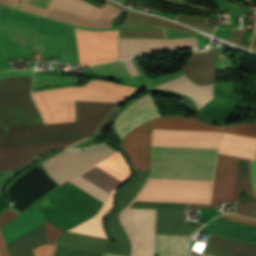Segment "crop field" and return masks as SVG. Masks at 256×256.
<instances>
[{
	"mask_svg": "<svg viewBox=\"0 0 256 256\" xmlns=\"http://www.w3.org/2000/svg\"><path fill=\"white\" fill-rule=\"evenodd\" d=\"M153 127L220 134L222 127L186 117H160ZM153 128L152 144L217 150L220 135ZM152 145L149 178L212 180L217 151ZM147 179L126 208L157 209L156 234L190 236L188 203H209L212 181Z\"/></svg>",
	"mask_w": 256,
	"mask_h": 256,
	"instance_id": "obj_1",
	"label": "crop field"
},
{
	"mask_svg": "<svg viewBox=\"0 0 256 256\" xmlns=\"http://www.w3.org/2000/svg\"><path fill=\"white\" fill-rule=\"evenodd\" d=\"M33 70L6 71L1 77L32 76ZM32 77L0 79V122L5 127L75 121L74 100L121 103L136 88L105 81L83 87L30 92ZM69 83V78L35 76L33 85Z\"/></svg>",
	"mask_w": 256,
	"mask_h": 256,
	"instance_id": "obj_2",
	"label": "crop field"
},
{
	"mask_svg": "<svg viewBox=\"0 0 256 256\" xmlns=\"http://www.w3.org/2000/svg\"><path fill=\"white\" fill-rule=\"evenodd\" d=\"M118 103L75 101L77 122L6 128L0 135V171L24 166L46 151L64 148L94 135ZM29 163V162H28Z\"/></svg>",
	"mask_w": 256,
	"mask_h": 256,
	"instance_id": "obj_3",
	"label": "crop field"
},
{
	"mask_svg": "<svg viewBox=\"0 0 256 256\" xmlns=\"http://www.w3.org/2000/svg\"><path fill=\"white\" fill-rule=\"evenodd\" d=\"M0 21L40 32L43 56L57 62L86 66L117 59V31L88 32L34 18L0 7Z\"/></svg>",
	"mask_w": 256,
	"mask_h": 256,
	"instance_id": "obj_4",
	"label": "crop field"
},
{
	"mask_svg": "<svg viewBox=\"0 0 256 256\" xmlns=\"http://www.w3.org/2000/svg\"><path fill=\"white\" fill-rule=\"evenodd\" d=\"M68 182L50 193L39 205L44 217L69 229L91 218L103 202ZM44 221L48 243L54 245L56 237L67 229L45 218Z\"/></svg>",
	"mask_w": 256,
	"mask_h": 256,
	"instance_id": "obj_5",
	"label": "crop field"
},
{
	"mask_svg": "<svg viewBox=\"0 0 256 256\" xmlns=\"http://www.w3.org/2000/svg\"><path fill=\"white\" fill-rule=\"evenodd\" d=\"M247 162L246 159L243 158L218 154L211 207H218V203L238 201L240 187L251 197L253 195V198H255L256 158L255 161L249 160L255 196L248 162L250 182L252 188L251 195ZM237 212L239 214L256 218V201L251 200L238 203Z\"/></svg>",
	"mask_w": 256,
	"mask_h": 256,
	"instance_id": "obj_6",
	"label": "crop field"
},
{
	"mask_svg": "<svg viewBox=\"0 0 256 256\" xmlns=\"http://www.w3.org/2000/svg\"><path fill=\"white\" fill-rule=\"evenodd\" d=\"M21 10L86 27L95 7L81 0H22ZM120 13L109 5L96 9L88 27H110Z\"/></svg>",
	"mask_w": 256,
	"mask_h": 256,
	"instance_id": "obj_7",
	"label": "crop field"
},
{
	"mask_svg": "<svg viewBox=\"0 0 256 256\" xmlns=\"http://www.w3.org/2000/svg\"><path fill=\"white\" fill-rule=\"evenodd\" d=\"M11 173L0 179L2 184L13 177ZM60 186L39 163L14 178L6 187V194L13 203L11 208L24 213L43 200L50 192ZM10 208L0 194V214Z\"/></svg>",
	"mask_w": 256,
	"mask_h": 256,
	"instance_id": "obj_8",
	"label": "crop field"
},
{
	"mask_svg": "<svg viewBox=\"0 0 256 256\" xmlns=\"http://www.w3.org/2000/svg\"><path fill=\"white\" fill-rule=\"evenodd\" d=\"M113 153L115 152L104 144L91 146L80 152L78 149H66L43 165L61 185Z\"/></svg>",
	"mask_w": 256,
	"mask_h": 256,
	"instance_id": "obj_9",
	"label": "crop field"
},
{
	"mask_svg": "<svg viewBox=\"0 0 256 256\" xmlns=\"http://www.w3.org/2000/svg\"><path fill=\"white\" fill-rule=\"evenodd\" d=\"M131 246V256H153L156 210L124 209L119 215Z\"/></svg>",
	"mask_w": 256,
	"mask_h": 256,
	"instance_id": "obj_10",
	"label": "crop field"
},
{
	"mask_svg": "<svg viewBox=\"0 0 256 256\" xmlns=\"http://www.w3.org/2000/svg\"><path fill=\"white\" fill-rule=\"evenodd\" d=\"M136 176L133 181H131L127 186H125L120 195L118 200V206L116 212L111 215L108 220V228L109 232L114 241H111L106 249L105 252L126 255L129 256L130 252V243L118 222L117 215L120 210L127 206L139 188L142 186L145 178L149 174L150 170H142V171H135ZM104 253L103 256H120L114 254Z\"/></svg>",
	"mask_w": 256,
	"mask_h": 256,
	"instance_id": "obj_11",
	"label": "crop field"
},
{
	"mask_svg": "<svg viewBox=\"0 0 256 256\" xmlns=\"http://www.w3.org/2000/svg\"><path fill=\"white\" fill-rule=\"evenodd\" d=\"M37 45V34L0 25V71L11 68L6 60L33 58L32 46Z\"/></svg>",
	"mask_w": 256,
	"mask_h": 256,
	"instance_id": "obj_12",
	"label": "crop field"
},
{
	"mask_svg": "<svg viewBox=\"0 0 256 256\" xmlns=\"http://www.w3.org/2000/svg\"><path fill=\"white\" fill-rule=\"evenodd\" d=\"M80 175L110 194L129 177L130 171L117 152Z\"/></svg>",
	"mask_w": 256,
	"mask_h": 256,
	"instance_id": "obj_13",
	"label": "crop field"
},
{
	"mask_svg": "<svg viewBox=\"0 0 256 256\" xmlns=\"http://www.w3.org/2000/svg\"><path fill=\"white\" fill-rule=\"evenodd\" d=\"M223 131L256 136V124L225 126ZM218 153L254 160L256 138L223 132Z\"/></svg>",
	"mask_w": 256,
	"mask_h": 256,
	"instance_id": "obj_14",
	"label": "crop field"
},
{
	"mask_svg": "<svg viewBox=\"0 0 256 256\" xmlns=\"http://www.w3.org/2000/svg\"><path fill=\"white\" fill-rule=\"evenodd\" d=\"M152 121L137 127L119 144L134 170L150 169Z\"/></svg>",
	"mask_w": 256,
	"mask_h": 256,
	"instance_id": "obj_15",
	"label": "crop field"
},
{
	"mask_svg": "<svg viewBox=\"0 0 256 256\" xmlns=\"http://www.w3.org/2000/svg\"><path fill=\"white\" fill-rule=\"evenodd\" d=\"M160 116L151 96L147 95L134 101L117 117L115 131L122 140L138 125Z\"/></svg>",
	"mask_w": 256,
	"mask_h": 256,
	"instance_id": "obj_16",
	"label": "crop field"
},
{
	"mask_svg": "<svg viewBox=\"0 0 256 256\" xmlns=\"http://www.w3.org/2000/svg\"><path fill=\"white\" fill-rule=\"evenodd\" d=\"M192 47H197V38L190 37L171 40L119 39V59L156 51Z\"/></svg>",
	"mask_w": 256,
	"mask_h": 256,
	"instance_id": "obj_17",
	"label": "crop field"
},
{
	"mask_svg": "<svg viewBox=\"0 0 256 256\" xmlns=\"http://www.w3.org/2000/svg\"><path fill=\"white\" fill-rule=\"evenodd\" d=\"M219 218L256 226V220L235 216L222 215ZM215 218L199 231L221 235L229 238L256 243V227Z\"/></svg>",
	"mask_w": 256,
	"mask_h": 256,
	"instance_id": "obj_18",
	"label": "crop field"
},
{
	"mask_svg": "<svg viewBox=\"0 0 256 256\" xmlns=\"http://www.w3.org/2000/svg\"><path fill=\"white\" fill-rule=\"evenodd\" d=\"M215 67L214 47L207 51H193L192 56L183 67V72L198 85L213 83V69Z\"/></svg>",
	"mask_w": 256,
	"mask_h": 256,
	"instance_id": "obj_19",
	"label": "crop field"
},
{
	"mask_svg": "<svg viewBox=\"0 0 256 256\" xmlns=\"http://www.w3.org/2000/svg\"><path fill=\"white\" fill-rule=\"evenodd\" d=\"M243 97L214 89V99L208 102L200 112L214 122H224L237 108Z\"/></svg>",
	"mask_w": 256,
	"mask_h": 256,
	"instance_id": "obj_20",
	"label": "crop field"
},
{
	"mask_svg": "<svg viewBox=\"0 0 256 256\" xmlns=\"http://www.w3.org/2000/svg\"><path fill=\"white\" fill-rule=\"evenodd\" d=\"M204 254L212 256H256V245L209 236Z\"/></svg>",
	"mask_w": 256,
	"mask_h": 256,
	"instance_id": "obj_21",
	"label": "crop field"
},
{
	"mask_svg": "<svg viewBox=\"0 0 256 256\" xmlns=\"http://www.w3.org/2000/svg\"><path fill=\"white\" fill-rule=\"evenodd\" d=\"M42 223L39 206H36L1 228L6 244L9 245Z\"/></svg>",
	"mask_w": 256,
	"mask_h": 256,
	"instance_id": "obj_22",
	"label": "crop field"
},
{
	"mask_svg": "<svg viewBox=\"0 0 256 256\" xmlns=\"http://www.w3.org/2000/svg\"><path fill=\"white\" fill-rule=\"evenodd\" d=\"M213 86L214 84L209 86H197L183 75L155 88L171 89L186 94L193 98L199 108H201L208 101L213 99Z\"/></svg>",
	"mask_w": 256,
	"mask_h": 256,
	"instance_id": "obj_23",
	"label": "crop field"
},
{
	"mask_svg": "<svg viewBox=\"0 0 256 256\" xmlns=\"http://www.w3.org/2000/svg\"><path fill=\"white\" fill-rule=\"evenodd\" d=\"M109 240L66 232L57 245L103 253Z\"/></svg>",
	"mask_w": 256,
	"mask_h": 256,
	"instance_id": "obj_24",
	"label": "crop field"
},
{
	"mask_svg": "<svg viewBox=\"0 0 256 256\" xmlns=\"http://www.w3.org/2000/svg\"><path fill=\"white\" fill-rule=\"evenodd\" d=\"M113 196L112 194L106 201L102 210L92 219L82 223L81 225L69 230V232L80 233L95 237L106 238L103 231L102 220L112 210L113 207Z\"/></svg>",
	"mask_w": 256,
	"mask_h": 256,
	"instance_id": "obj_25",
	"label": "crop field"
},
{
	"mask_svg": "<svg viewBox=\"0 0 256 256\" xmlns=\"http://www.w3.org/2000/svg\"><path fill=\"white\" fill-rule=\"evenodd\" d=\"M187 238L156 235L155 254H158V256H185Z\"/></svg>",
	"mask_w": 256,
	"mask_h": 256,
	"instance_id": "obj_26",
	"label": "crop field"
},
{
	"mask_svg": "<svg viewBox=\"0 0 256 256\" xmlns=\"http://www.w3.org/2000/svg\"><path fill=\"white\" fill-rule=\"evenodd\" d=\"M109 4L130 13L128 18L126 19V21L124 22L123 25H153V26H163V27H167V28H171V29H175V30H179V31H183V32H187V33H194L196 34L197 32L185 27H182L180 25L174 24L172 22L160 19V18H156V17H151V16H146V15H142V14H138V13H134L131 12L125 8L119 7L111 2H108Z\"/></svg>",
	"mask_w": 256,
	"mask_h": 256,
	"instance_id": "obj_27",
	"label": "crop field"
},
{
	"mask_svg": "<svg viewBox=\"0 0 256 256\" xmlns=\"http://www.w3.org/2000/svg\"><path fill=\"white\" fill-rule=\"evenodd\" d=\"M118 38L166 39L165 29H118Z\"/></svg>",
	"mask_w": 256,
	"mask_h": 256,
	"instance_id": "obj_28",
	"label": "crop field"
},
{
	"mask_svg": "<svg viewBox=\"0 0 256 256\" xmlns=\"http://www.w3.org/2000/svg\"><path fill=\"white\" fill-rule=\"evenodd\" d=\"M92 69L95 74L129 76L121 61L93 66Z\"/></svg>",
	"mask_w": 256,
	"mask_h": 256,
	"instance_id": "obj_29",
	"label": "crop field"
},
{
	"mask_svg": "<svg viewBox=\"0 0 256 256\" xmlns=\"http://www.w3.org/2000/svg\"><path fill=\"white\" fill-rule=\"evenodd\" d=\"M69 182L103 202L109 195L79 176H76L75 178L71 179Z\"/></svg>",
	"mask_w": 256,
	"mask_h": 256,
	"instance_id": "obj_30",
	"label": "crop field"
},
{
	"mask_svg": "<svg viewBox=\"0 0 256 256\" xmlns=\"http://www.w3.org/2000/svg\"><path fill=\"white\" fill-rule=\"evenodd\" d=\"M183 75V73H181L180 71L176 72V73H173L171 75H168V76H165L163 78H160L158 80H155L153 82L150 81V79L146 76V75H142V76H135V77H132V79L135 81V83L137 85H139L140 87L142 88H147V89H151L157 85H160L164 82H167L169 80H172L176 77H179Z\"/></svg>",
	"mask_w": 256,
	"mask_h": 256,
	"instance_id": "obj_31",
	"label": "crop field"
},
{
	"mask_svg": "<svg viewBox=\"0 0 256 256\" xmlns=\"http://www.w3.org/2000/svg\"><path fill=\"white\" fill-rule=\"evenodd\" d=\"M209 18L177 15V21L187 25H194L208 29H214L215 25L207 24Z\"/></svg>",
	"mask_w": 256,
	"mask_h": 256,
	"instance_id": "obj_32",
	"label": "crop field"
},
{
	"mask_svg": "<svg viewBox=\"0 0 256 256\" xmlns=\"http://www.w3.org/2000/svg\"><path fill=\"white\" fill-rule=\"evenodd\" d=\"M54 256H102V254L57 246Z\"/></svg>",
	"mask_w": 256,
	"mask_h": 256,
	"instance_id": "obj_33",
	"label": "crop field"
},
{
	"mask_svg": "<svg viewBox=\"0 0 256 256\" xmlns=\"http://www.w3.org/2000/svg\"><path fill=\"white\" fill-rule=\"evenodd\" d=\"M34 244L33 240H30L29 242L25 243L21 247L17 248L13 252L10 253L11 256H35L34 255Z\"/></svg>",
	"mask_w": 256,
	"mask_h": 256,
	"instance_id": "obj_34",
	"label": "crop field"
},
{
	"mask_svg": "<svg viewBox=\"0 0 256 256\" xmlns=\"http://www.w3.org/2000/svg\"><path fill=\"white\" fill-rule=\"evenodd\" d=\"M32 238L34 240L35 247L39 246L38 240H37V237H36V234H35V230H33V231L29 232L28 234H26L25 236H23L22 238L15 241L14 243L7 246L9 252L16 249L17 247H19L20 245L24 244L25 242H27L28 240H30Z\"/></svg>",
	"mask_w": 256,
	"mask_h": 256,
	"instance_id": "obj_35",
	"label": "crop field"
},
{
	"mask_svg": "<svg viewBox=\"0 0 256 256\" xmlns=\"http://www.w3.org/2000/svg\"><path fill=\"white\" fill-rule=\"evenodd\" d=\"M244 32H245V30H233L232 29V32H231L228 40L235 44L240 45V43L243 40Z\"/></svg>",
	"mask_w": 256,
	"mask_h": 256,
	"instance_id": "obj_36",
	"label": "crop field"
},
{
	"mask_svg": "<svg viewBox=\"0 0 256 256\" xmlns=\"http://www.w3.org/2000/svg\"><path fill=\"white\" fill-rule=\"evenodd\" d=\"M53 250V246L43 245L34 249L36 256H51Z\"/></svg>",
	"mask_w": 256,
	"mask_h": 256,
	"instance_id": "obj_37",
	"label": "crop field"
},
{
	"mask_svg": "<svg viewBox=\"0 0 256 256\" xmlns=\"http://www.w3.org/2000/svg\"><path fill=\"white\" fill-rule=\"evenodd\" d=\"M18 215H20V214L12 211L10 209L7 210L6 212L2 213L0 215V227Z\"/></svg>",
	"mask_w": 256,
	"mask_h": 256,
	"instance_id": "obj_38",
	"label": "crop field"
},
{
	"mask_svg": "<svg viewBox=\"0 0 256 256\" xmlns=\"http://www.w3.org/2000/svg\"><path fill=\"white\" fill-rule=\"evenodd\" d=\"M36 234L39 240V244L47 243L46 241V235H45V229H44V224L41 226L37 227L36 229Z\"/></svg>",
	"mask_w": 256,
	"mask_h": 256,
	"instance_id": "obj_39",
	"label": "crop field"
},
{
	"mask_svg": "<svg viewBox=\"0 0 256 256\" xmlns=\"http://www.w3.org/2000/svg\"><path fill=\"white\" fill-rule=\"evenodd\" d=\"M123 62L125 64L128 72H129L130 76L138 75V73H137V71H136V69H135V67H134L130 58L124 59Z\"/></svg>",
	"mask_w": 256,
	"mask_h": 256,
	"instance_id": "obj_40",
	"label": "crop field"
},
{
	"mask_svg": "<svg viewBox=\"0 0 256 256\" xmlns=\"http://www.w3.org/2000/svg\"><path fill=\"white\" fill-rule=\"evenodd\" d=\"M0 256H9L1 230H0Z\"/></svg>",
	"mask_w": 256,
	"mask_h": 256,
	"instance_id": "obj_41",
	"label": "crop field"
},
{
	"mask_svg": "<svg viewBox=\"0 0 256 256\" xmlns=\"http://www.w3.org/2000/svg\"><path fill=\"white\" fill-rule=\"evenodd\" d=\"M199 207H209V205L190 204L187 209H198Z\"/></svg>",
	"mask_w": 256,
	"mask_h": 256,
	"instance_id": "obj_42",
	"label": "crop field"
},
{
	"mask_svg": "<svg viewBox=\"0 0 256 256\" xmlns=\"http://www.w3.org/2000/svg\"><path fill=\"white\" fill-rule=\"evenodd\" d=\"M7 133L5 127L0 123V134Z\"/></svg>",
	"mask_w": 256,
	"mask_h": 256,
	"instance_id": "obj_43",
	"label": "crop field"
},
{
	"mask_svg": "<svg viewBox=\"0 0 256 256\" xmlns=\"http://www.w3.org/2000/svg\"><path fill=\"white\" fill-rule=\"evenodd\" d=\"M251 49L256 50V36H255V39H254V42H253V45H252Z\"/></svg>",
	"mask_w": 256,
	"mask_h": 256,
	"instance_id": "obj_44",
	"label": "crop field"
},
{
	"mask_svg": "<svg viewBox=\"0 0 256 256\" xmlns=\"http://www.w3.org/2000/svg\"><path fill=\"white\" fill-rule=\"evenodd\" d=\"M240 25H236V28H239Z\"/></svg>",
	"mask_w": 256,
	"mask_h": 256,
	"instance_id": "obj_45",
	"label": "crop field"
},
{
	"mask_svg": "<svg viewBox=\"0 0 256 256\" xmlns=\"http://www.w3.org/2000/svg\"><path fill=\"white\" fill-rule=\"evenodd\" d=\"M238 15H242V14H238Z\"/></svg>",
	"mask_w": 256,
	"mask_h": 256,
	"instance_id": "obj_46",
	"label": "crop field"
}]
</instances>
